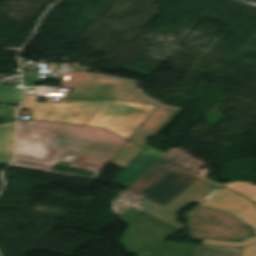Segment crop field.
Instances as JSON below:
<instances>
[{"instance_id":"d1516ede","label":"crop field","mask_w":256,"mask_h":256,"mask_svg":"<svg viewBox=\"0 0 256 256\" xmlns=\"http://www.w3.org/2000/svg\"><path fill=\"white\" fill-rule=\"evenodd\" d=\"M241 248L193 245L190 256H240Z\"/></svg>"},{"instance_id":"4a817a6b","label":"crop field","mask_w":256,"mask_h":256,"mask_svg":"<svg viewBox=\"0 0 256 256\" xmlns=\"http://www.w3.org/2000/svg\"><path fill=\"white\" fill-rule=\"evenodd\" d=\"M48 151H49V153H48V155L46 156V158H45L44 160L35 159V158H30V157H25V156H19V155H17L16 157L48 163V162H50V161H53V160L58 159V158L61 157L63 154H65L64 152H59V151H54V150H49V149H48Z\"/></svg>"},{"instance_id":"dd49c442","label":"crop field","mask_w":256,"mask_h":256,"mask_svg":"<svg viewBox=\"0 0 256 256\" xmlns=\"http://www.w3.org/2000/svg\"><path fill=\"white\" fill-rule=\"evenodd\" d=\"M200 206L227 212L254 228L256 233V206L246 197L227 188L216 191ZM256 243V237L242 242L203 239V245L244 247Z\"/></svg>"},{"instance_id":"e52e79f7","label":"crop field","mask_w":256,"mask_h":256,"mask_svg":"<svg viewBox=\"0 0 256 256\" xmlns=\"http://www.w3.org/2000/svg\"><path fill=\"white\" fill-rule=\"evenodd\" d=\"M219 187L220 186L201 177L165 208L156 204L147 211V213L183 229L184 226L175 218L177 212L191 202L199 204Z\"/></svg>"},{"instance_id":"34b2d1b8","label":"crop field","mask_w":256,"mask_h":256,"mask_svg":"<svg viewBox=\"0 0 256 256\" xmlns=\"http://www.w3.org/2000/svg\"><path fill=\"white\" fill-rule=\"evenodd\" d=\"M56 71V76L42 75L38 72H23L25 86L50 79L61 82L64 88L74 89L68 99L85 100H126L136 103L159 105L158 102L144 97L136 88L137 82L119 80L107 76L86 73L80 69L78 73Z\"/></svg>"},{"instance_id":"a9b5d70f","label":"crop field","mask_w":256,"mask_h":256,"mask_svg":"<svg viewBox=\"0 0 256 256\" xmlns=\"http://www.w3.org/2000/svg\"><path fill=\"white\" fill-rule=\"evenodd\" d=\"M81 157V156H80ZM81 160L83 161H88V162H93V163H98V164H103L106 165L108 162L107 161H102V160H97V159H91V158H86V157H81Z\"/></svg>"},{"instance_id":"4177f3b9","label":"crop field","mask_w":256,"mask_h":256,"mask_svg":"<svg viewBox=\"0 0 256 256\" xmlns=\"http://www.w3.org/2000/svg\"><path fill=\"white\" fill-rule=\"evenodd\" d=\"M12 166H14V167H21V168H29V169L40 170V169H38V168H32V167H27V166H22V165H16V164H13Z\"/></svg>"},{"instance_id":"f4fd0767","label":"crop field","mask_w":256,"mask_h":256,"mask_svg":"<svg viewBox=\"0 0 256 256\" xmlns=\"http://www.w3.org/2000/svg\"><path fill=\"white\" fill-rule=\"evenodd\" d=\"M18 144L110 161L120 147L20 127Z\"/></svg>"},{"instance_id":"3316defc","label":"crop field","mask_w":256,"mask_h":256,"mask_svg":"<svg viewBox=\"0 0 256 256\" xmlns=\"http://www.w3.org/2000/svg\"><path fill=\"white\" fill-rule=\"evenodd\" d=\"M132 163L115 179L114 182L130 187L165 153L147 145Z\"/></svg>"},{"instance_id":"cbeb9de0","label":"crop field","mask_w":256,"mask_h":256,"mask_svg":"<svg viewBox=\"0 0 256 256\" xmlns=\"http://www.w3.org/2000/svg\"><path fill=\"white\" fill-rule=\"evenodd\" d=\"M119 200H115L112 203L111 209L118 215H122L127 211L133 204H135L142 196L127 190L123 195L119 197Z\"/></svg>"},{"instance_id":"5142ce71","label":"crop field","mask_w":256,"mask_h":256,"mask_svg":"<svg viewBox=\"0 0 256 256\" xmlns=\"http://www.w3.org/2000/svg\"><path fill=\"white\" fill-rule=\"evenodd\" d=\"M22 100V90L14 87L0 86V103L19 105Z\"/></svg>"},{"instance_id":"733c2abd","label":"crop field","mask_w":256,"mask_h":256,"mask_svg":"<svg viewBox=\"0 0 256 256\" xmlns=\"http://www.w3.org/2000/svg\"><path fill=\"white\" fill-rule=\"evenodd\" d=\"M47 150L43 148H36V147H28V146H21L18 145V153L19 155H25L35 158L44 159L47 155Z\"/></svg>"},{"instance_id":"22f410ed","label":"crop field","mask_w":256,"mask_h":256,"mask_svg":"<svg viewBox=\"0 0 256 256\" xmlns=\"http://www.w3.org/2000/svg\"><path fill=\"white\" fill-rule=\"evenodd\" d=\"M141 150L142 148L127 142L110 162L125 168Z\"/></svg>"},{"instance_id":"ac0d7876","label":"crop field","mask_w":256,"mask_h":256,"mask_svg":"<svg viewBox=\"0 0 256 256\" xmlns=\"http://www.w3.org/2000/svg\"><path fill=\"white\" fill-rule=\"evenodd\" d=\"M201 166L177 149L169 151L129 189L165 207L200 177L192 172Z\"/></svg>"},{"instance_id":"00972430","label":"crop field","mask_w":256,"mask_h":256,"mask_svg":"<svg viewBox=\"0 0 256 256\" xmlns=\"http://www.w3.org/2000/svg\"><path fill=\"white\" fill-rule=\"evenodd\" d=\"M144 199L146 200L145 202L140 201L139 203H142V204H144V205H146V206L141 207V206L137 205V204H139V203H137V204H136L135 206H133L132 208L138 206V207L142 208L141 211L144 212V211H145L146 209H148L152 204H154V202H152L151 200L146 199V198H144Z\"/></svg>"},{"instance_id":"dafd665d","label":"crop field","mask_w":256,"mask_h":256,"mask_svg":"<svg viewBox=\"0 0 256 256\" xmlns=\"http://www.w3.org/2000/svg\"><path fill=\"white\" fill-rule=\"evenodd\" d=\"M14 163L32 166V167H38V168H41L43 165H45L43 163H37V162H31V161H25V160H19V159H16Z\"/></svg>"},{"instance_id":"d8731c3e","label":"crop field","mask_w":256,"mask_h":256,"mask_svg":"<svg viewBox=\"0 0 256 256\" xmlns=\"http://www.w3.org/2000/svg\"><path fill=\"white\" fill-rule=\"evenodd\" d=\"M20 126H27L29 128L46 130L57 134L112 144L123 147L126 140L104 130L98 128L81 127L73 125L55 124L39 121H27L20 123Z\"/></svg>"},{"instance_id":"412701ff","label":"crop field","mask_w":256,"mask_h":256,"mask_svg":"<svg viewBox=\"0 0 256 256\" xmlns=\"http://www.w3.org/2000/svg\"><path fill=\"white\" fill-rule=\"evenodd\" d=\"M130 208L119 219L128 224L120 244L138 256H186L191 245L163 242L181 230Z\"/></svg>"},{"instance_id":"28ad6ade","label":"crop field","mask_w":256,"mask_h":256,"mask_svg":"<svg viewBox=\"0 0 256 256\" xmlns=\"http://www.w3.org/2000/svg\"><path fill=\"white\" fill-rule=\"evenodd\" d=\"M15 123L0 124V164L10 163L13 157Z\"/></svg>"},{"instance_id":"92a150f3","label":"crop field","mask_w":256,"mask_h":256,"mask_svg":"<svg viewBox=\"0 0 256 256\" xmlns=\"http://www.w3.org/2000/svg\"><path fill=\"white\" fill-rule=\"evenodd\" d=\"M31 111H32V118L38 119V120H44L47 117V115L50 113L47 111H39V110H31Z\"/></svg>"},{"instance_id":"d9b57169","label":"crop field","mask_w":256,"mask_h":256,"mask_svg":"<svg viewBox=\"0 0 256 256\" xmlns=\"http://www.w3.org/2000/svg\"><path fill=\"white\" fill-rule=\"evenodd\" d=\"M226 187L248 197L256 203V186L245 183H234L226 185Z\"/></svg>"},{"instance_id":"214f88e0","label":"crop field","mask_w":256,"mask_h":256,"mask_svg":"<svg viewBox=\"0 0 256 256\" xmlns=\"http://www.w3.org/2000/svg\"><path fill=\"white\" fill-rule=\"evenodd\" d=\"M241 256H256V244L242 248Z\"/></svg>"},{"instance_id":"5a996713","label":"crop field","mask_w":256,"mask_h":256,"mask_svg":"<svg viewBox=\"0 0 256 256\" xmlns=\"http://www.w3.org/2000/svg\"><path fill=\"white\" fill-rule=\"evenodd\" d=\"M164 106L167 108L163 109ZM180 110V108L160 104L129 141L144 147L147 145V139L155 136Z\"/></svg>"},{"instance_id":"8a807250","label":"crop field","mask_w":256,"mask_h":256,"mask_svg":"<svg viewBox=\"0 0 256 256\" xmlns=\"http://www.w3.org/2000/svg\"><path fill=\"white\" fill-rule=\"evenodd\" d=\"M38 96L26 91L23 107L52 111L56 103H38ZM157 107L125 101H77L59 122L104 127L129 140Z\"/></svg>"},{"instance_id":"bc2a9ffb","label":"crop field","mask_w":256,"mask_h":256,"mask_svg":"<svg viewBox=\"0 0 256 256\" xmlns=\"http://www.w3.org/2000/svg\"><path fill=\"white\" fill-rule=\"evenodd\" d=\"M76 167L101 171L104 166L103 165H98V164H93V163H88V162L80 161Z\"/></svg>"}]
</instances>
